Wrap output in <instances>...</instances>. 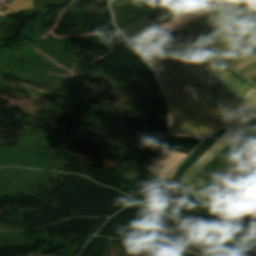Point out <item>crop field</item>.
<instances>
[{"mask_svg":"<svg viewBox=\"0 0 256 256\" xmlns=\"http://www.w3.org/2000/svg\"><path fill=\"white\" fill-rule=\"evenodd\" d=\"M152 65L170 100L173 132L206 137L245 109L164 57Z\"/></svg>","mask_w":256,"mask_h":256,"instance_id":"8a807250","label":"crop field"},{"mask_svg":"<svg viewBox=\"0 0 256 256\" xmlns=\"http://www.w3.org/2000/svg\"><path fill=\"white\" fill-rule=\"evenodd\" d=\"M219 7L138 49L147 62L238 16Z\"/></svg>","mask_w":256,"mask_h":256,"instance_id":"ac0d7876","label":"crop field"},{"mask_svg":"<svg viewBox=\"0 0 256 256\" xmlns=\"http://www.w3.org/2000/svg\"><path fill=\"white\" fill-rule=\"evenodd\" d=\"M194 3H201L204 0H188ZM185 0H177L176 2L184 4L186 6H189L191 8L197 6V4L188 2ZM172 3L158 11H156L155 13L139 20L138 22L120 30L121 33L124 35V37H128L129 39H134L150 30H152L153 28L171 20L172 18L190 10L191 8L183 6L181 4L178 3ZM127 38V40H129ZM129 40V41H131Z\"/></svg>","mask_w":256,"mask_h":256,"instance_id":"34b2d1b8","label":"crop field"},{"mask_svg":"<svg viewBox=\"0 0 256 256\" xmlns=\"http://www.w3.org/2000/svg\"><path fill=\"white\" fill-rule=\"evenodd\" d=\"M173 0H113L112 15L119 28L159 9Z\"/></svg>","mask_w":256,"mask_h":256,"instance_id":"412701ff","label":"crop field"},{"mask_svg":"<svg viewBox=\"0 0 256 256\" xmlns=\"http://www.w3.org/2000/svg\"><path fill=\"white\" fill-rule=\"evenodd\" d=\"M184 156V154L165 150L163 154L148 168L163 179L164 176L184 158Z\"/></svg>","mask_w":256,"mask_h":256,"instance_id":"f4fd0767","label":"crop field"},{"mask_svg":"<svg viewBox=\"0 0 256 256\" xmlns=\"http://www.w3.org/2000/svg\"><path fill=\"white\" fill-rule=\"evenodd\" d=\"M118 171L132 179L149 181L155 184H158L160 181L151 172H149L140 161L131 160V162L126 164Z\"/></svg>","mask_w":256,"mask_h":256,"instance_id":"dd49c442","label":"crop field"},{"mask_svg":"<svg viewBox=\"0 0 256 256\" xmlns=\"http://www.w3.org/2000/svg\"><path fill=\"white\" fill-rule=\"evenodd\" d=\"M225 65L245 77L256 72V48Z\"/></svg>","mask_w":256,"mask_h":256,"instance_id":"e52e79f7","label":"crop field"},{"mask_svg":"<svg viewBox=\"0 0 256 256\" xmlns=\"http://www.w3.org/2000/svg\"><path fill=\"white\" fill-rule=\"evenodd\" d=\"M33 8L32 0H13V2L7 8L6 13L21 11Z\"/></svg>","mask_w":256,"mask_h":256,"instance_id":"d8731c3e","label":"crop field"},{"mask_svg":"<svg viewBox=\"0 0 256 256\" xmlns=\"http://www.w3.org/2000/svg\"><path fill=\"white\" fill-rule=\"evenodd\" d=\"M254 47H256V40L238 48L237 50H235V51H233V52H231V53H229V54H227V55H225V56H223V57H221L217 60L224 63V62H226V61H228V60H230V59H232V58H234V57H236V56H238V55H240V54H242V53H244V52H246V51H248V50H250Z\"/></svg>","mask_w":256,"mask_h":256,"instance_id":"5a996713","label":"crop field"},{"mask_svg":"<svg viewBox=\"0 0 256 256\" xmlns=\"http://www.w3.org/2000/svg\"><path fill=\"white\" fill-rule=\"evenodd\" d=\"M255 172L256 166L235 187H241Z\"/></svg>","mask_w":256,"mask_h":256,"instance_id":"3316defc","label":"crop field"},{"mask_svg":"<svg viewBox=\"0 0 256 256\" xmlns=\"http://www.w3.org/2000/svg\"><path fill=\"white\" fill-rule=\"evenodd\" d=\"M246 78L249 79L250 81L256 83V73H254Z\"/></svg>","mask_w":256,"mask_h":256,"instance_id":"28ad6ade","label":"crop field"},{"mask_svg":"<svg viewBox=\"0 0 256 256\" xmlns=\"http://www.w3.org/2000/svg\"><path fill=\"white\" fill-rule=\"evenodd\" d=\"M232 1L233 0H223V4H225V5H228V6H230V7H232Z\"/></svg>","mask_w":256,"mask_h":256,"instance_id":"d1516ede","label":"crop field"},{"mask_svg":"<svg viewBox=\"0 0 256 256\" xmlns=\"http://www.w3.org/2000/svg\"><path fill=\"white\" fill-rule=\"evenodd\" d=\"M255 175H256V173H255L252 177H254ZM252 177H251V178H252ZM251 178H250V179H251ZM250 179H249V180H250ZM249 180H248V181H249ZM255 180H256V177H255L252 181H255ZM248 181H247V182H248ZM247 182H246V183H247ZM246 183H245V184H246Z\"/></svg>","mask_w":256,"mask_h":256,"instance_id":"22f410ed","label":"crop field"},{"mask_svg":"<svg viewBox=\"0 0 256 256\" xmlns=\"http://www.w3.org/2000/svg\"><path fill=\"white\" fill-rule=\"evenodd\" d=\"M108 1H110V0H108Z\"/></svg>","mask_w":256,"mask_h":256,"instance_id":"cbeb9de0","label":"crop field"}]
</instances>
